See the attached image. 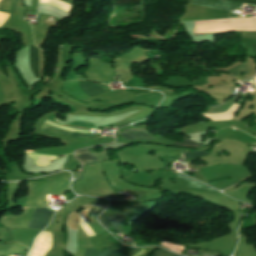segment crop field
Instances as JSON below:
<instances>
[{"mask_svg": "<svg viewBox=\"0 0 256 256\" xmlns=\"http://www.w3.org/2000/svg\"><path fill=\"white\" fill-rule=\"evenodd\" d=\"M192 3L234 11L241 7V3L256 5V0H226L225 2H222V0H193ZM245 4H242V6Z\"/></svg>", "mask_w": 256, "mask_h": 256, "instance_id": "obj_1", "label": "crop field"}, {"mask_svg": "<svg viewBox=\"0 0 256 256\" xmlns=\"http://www.w3.org/2000/svg\"><path fill=\"white\" fill-rule=\"evenodd\" d=\"M54 211L55 210L49 209L48 207L36 209V211L34 212L32 218H31L28 228H42L43 229L47 225L48 220Z\"/></svg>", "mask_w": 256, "mask_h": 256, "instance_id": "obj_2", "label": "crop field"}, {"mask_svg": "<svg viewBox=\"0 0 256 256\" xmlns=\"http://www.w3.org/2000/svg\"><path fill=\"white\" fill-rule=\"evenodd\" d=\"M125 245H123L121 248H123ZM120 249V248H119ZM130 249V247L126 246L125 248L121 249V250H114L112 251H108V250H104L100 253H98L95 249L92 248H88L85 251L84 256H122L123 254H125L128 250Z\"/></svg>", "mask_w": 256, "mask_h": 256, "instance_id": "obj_3", "label": "crop field"}, {"mask_svg": "<svg viewBox=\"0 0 256 256\" xmlns=\"http://www.w3.org/2000/svg\"><path fill=\"white\" fill-rule=\"evenodd\" d=\"M41 130L46 131V132L58 133V134H61V135H66V136H72V137H93V136H96L95 134L68 132V131L61 130V129L55 128L53 126L47 125L45 123L42 124Z\"/></svg>", "mask_w": 256, "mask_h": 256, "instance_id": "obj_4", "label": "crop field"}, {"mask_svg": "<svg viewBox=\"0 0 256 256\" xmlns=\"http://www.w3.org/2000/svg\"><path fill=\"white\" fill-rule=\"evenodd\" d=\"M79 89L87 96L92 97L96 94L105 92L100 85L90 84L85 81H79Z\"/></svg>", "mask_w": 256, "mask_h": 256, "instance_id": "obj_5", "label": "crop field"}, {"mask_svg": "<svg viewBox=\"0 0 256 256\" xmlns=\"http://www.w3.org/2000/svg\"><path fill=\"white\" fill-rule=\"evenodd\" d=\"M133 210H135V209H132V210H129V211H126V212H122V213H119V214H116V215H112V216H109L107 218L109 219V222H110V224L112 225L113 228H115L118 231H122L124 233L121 225H122L126 215L129 212L133 211Z\"/></svg>", "mask_w": 256, "mask_h": 256, "instance_id": "obj_6", "label": "crop field"}, {"mask_svg": "<svg viewBox=\"0 0 256 256\" xmlns=\"http://www.w3.org/2000/svg\"><path fill=\"white\" fill-rule=\"evenodd\" d=\"M30 66L35 78L39 77L38 49L35 46H30Z\"/></svg>", "mask_w": 256, "mask_h": 256, "instance_id": "obj_7", "label": "crop field"}, {"mask_svg": "<svg viewBox=\"0 0 256 256\" xmlns=\"http://www.w3.org/2000/svg\"><path fill=\"white\" fill-rule=\"evenodd\" d=\"M11 248L0 251V256L25 253L27 248L18 244H10Z\"/></svg>", "mask_w": 256, "mask_h": 256, "instance_id": "obj_8", "label": "crop field"}, {"mask_svg": "<svg viewBox=\"0 0 256 256\" xmlns=\"http://www.w3.org/2000/svg\"><path fill=\"white\" fill-rule=\"evenodd\" d=\"M75 155L79 157L84 164L96 162V160L88 153L87 149L77 151Z\"/></svg>", "mask_w": 256, "mask_h": 256, "instance_id": "obj_9", "label": "crop field"}, {"mask_svg": "<svg viewBox=\"0 0 256 256\" xmlns=\"http://www.w3.org/2000/svg\"><path fill=\"white\" fill-rule=\"evenodd\" d=\"M127 140L130 139H150L154 140L149 134H143V133H131V134H120Z\"/></svg>", "mask_w": 256, "mask_h": 256, "instance_id": "obj_10", "label": "crop field"}, {"mask_svg": "<svg viewBox=\"0 0 256 256\" xmlns=\"http://www.w3.org/2000/svg\"><path fill=\"white\" fill-rule=\"evenodd\" d=\"M227 71L230 72L231 74H233L234 76L238 75V73H240V72H244L245 75L249 74L245 63L240 64L236 67H233Z\"/></svg>", "mask_w": 256, "mask_h": 256, "instance_id": "obj_11", "label": "crop field"}, {"mask_svg": "<svg viewBox=\"0 0 256 256\" xmlns=\"http://www.w3.org/2000/svg\"><path fill=\"white\" fill-rule=\"evenodd\" d=\"M206 154H209V153H207L205 151H201V152L187 153V154H184V155H185L186 159H189V158L200 157V156H203V155H206ZM184 155H183V158H184Z\"/></svg>", "mask_w": 256, "mask_h": 256, "instance_id": "obj_12", "label": "crop field"}, {"mask_svg": "<svg viewBox=\"0 0 256 256\" xmlns=\"http://www.w3.org/2000/svg\"><path fill=\"white\" fill-rule=\"evenodd\" d=\"M178 176H179V177H183V178L189 179L188 185L210 188V187H208V186H206V185H203V184H201V183H199V182H197V181H195V180H191L190 178L185 177V176H183V175H180V174H179ZM211 189H212V188H211ZM213 190H214V189H213ZM214 191H216V190H214Z\"/></svg>", "mask_w": 256, "mask_h": 256, "instance_id": "obj_13", "label": "crop field"}, {"mask_svg": "<svg viewBox=\"0 0 256 256\" xmlns=\"http://www.w3.org/2000/svg\"><path fill=\"white\" fill-rule=\"evenodd\" d=\"M153 256H178V255H175V254H172L166 250H163V249H158L155 254Z\"/></svg>", "mask_w": 256, "mask_h": 256, "instance_id": "obj_14", "label": "crop field"}, {"mask_svg": "<svg viewBox=\"0 0 256 256\" xmlns=\"http://www.w3.org/2000/svg\"><path fill=\"white\" fill-rule=\"evenodd\" d=\"M176 145H183V146H193V147H200L199 144L194 143L190 140H186L183 143L175 142Z\"/></svg>", "mask_w": 256, "mask_h": 256, "instance_id": "obj_15", "label": "crop field"}, {"mask_svg": "<svg viewBox=\"0 0 256 256\" xmlns=\"http://www.w3.org/2000/svg\"><path fill=\"white\" fill-rule=\"evenodd\" d=\"M100 221H101V223H102L107 229L110 228L109 225H108V223H107V220H106V218H105V213L101 216Z\"/></svg>", "mask_w": 256, "mask_h": 256, "instance_id": "obj_16", "label": "crop field"}, {"mask_svg": "<svg viewBox=\"0 0 256 256\" xmlns=\"http://www.w3.org/2000/svg\"><path fill=\"white\" fill-rule=\"evenodd\" d=\"M124 132H147L146 129H128L124 130Z\"/></svg>", "mask_w": 256, "mask_h": 256, "instance_id": "obj_17", "label": "crop field"}, {"mask_svg": "<svg viewBox=\"0 0 256 256\" xmlns=\"http://www.w3.org/2000/svg\"><path fill=\"white\" fill-rule=\"evenodd\" d=\"M26 152H31V151H26Z\"/></svg>", "mask_w": 256, "mask_h": 256, "instance_id": "obj_18", "label": "crop field"}, {"mask_svg": "<svg viewBox=\"0 0 256 256\" xmlns=\"http://www.w3.org/2000/svg\"><path fill=\"white\" fill-rule=\"evenodd\" d=\"M0 12H2V11H0ZM4 13H6V12H4ZM9 14V13H8Z\"/></svg>", "mask_w": 256, "mask_h": 256, "instance_id": "obj_19", "label": "crop field"}, {"mask_svg": "<svg viewBox=\"0 0 256 256\" xmlns=\"http://www.w3.org/2000/svg\"><path fill=\"white\" fill-rule=\"evenodd\" d=\"M252 144H256V143H252Z\"/></svg>", "mask_w": 256, "mask_h": 256, "instance_id": "obj_20", "label": "crop field"}, {"mask_svg": "<svg viewBox=\"0 0 256 256\" xmlns=\"http://www.w3.org/2000/svg\"><path fill=\"white\" fill-rule=\"evenodd\" d=\"M227 32V31H226ZM256 32V31H255ZM218 33V32H217Z\"/></svg>", "mask_w": 256, "mask_h": 256, "instance_id": "obj_21", "label": "crop field"}, {"mask_svg": "<svg viewBox=\"0 0 256 256\" xmlns=\"http://www.w3.org/2000/svg\"><path fill=\"white\" fill-rule=\"evenodd\" d=\"M254 78H256V77H254Z\"/></svg>", "mask_w": 256, "mask_h": 256, "instance_id": "obj_22", "label": "crop field"}]
</instances>
